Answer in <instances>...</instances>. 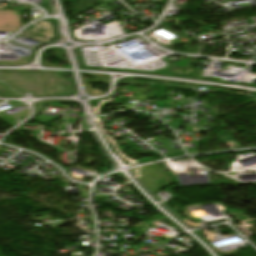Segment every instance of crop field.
Instances as JSON below:
<instances>
[{
    "instance_id": "obj_1",
    "label": "crop field",
    "mask_w": 256,
    "mask_h": 256,
    "mask_svg": "<svg viewBox=\"0 0 256 256\" xmlns=\"http://www.w3.org/2000/svg\"><path fill=\"white\" fill-rule=\"evenodd\" d=\"M19 28V12L0 11V31H14Z\"/></svg>"
}]
</instances>
